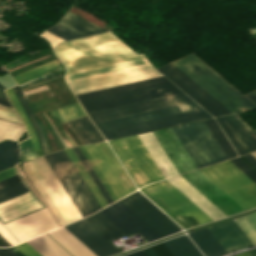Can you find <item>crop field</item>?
<instances>
[{"instance_id":"obj_69","label":"crop field","mask_w":256,"mask_h":256,"mask_svg":"<svg viewBox=\"0 0 256 256\" xmlns=\"http://www.w3.org/2000/svg\"><path fill=\"white\" fill-rule=\"evenodd\" d=\"M235 256H250V255L248 254V252H244V253L237 254Z\"/></svg>"},{"instance_id":"obj_43","label":"crop field","mask_w":256,"mask_h":256,"mask_svg":"<svg viewBox=\"0 0 256 256\" xmlns=\"http://www.w3.org/2000/svg\"><path fill=\"white\" fill-rule=\"evenodd\" d=\"M143 61L146 64H143L144 63ZM143 61L139 60V61H134V62H130V63L120 64V65H116V66L106 67V68H102V69L92 70V71H88V72L73 74V75H70V79L73 80V79H77V78H82V77H86V76H90V75L104 73V72H108V71H112V70H117V69H121V68H126V67H130V66H134V65H139V64H143V65H139V66H144V65H148L149 64L146 59H144ZM139 66H134V67H139ZM134 67H130V68H134ZM130 68H126V69H130ZM121 70H125V69H121ZM121 70H117V71H121ZM112 72H116V71H112ZM108 73H111V72H108ZM104 74H107V73H104ZM99 75H102V74H99ZM95 76H97V75H95ZM90 77H93V76H90ZM86 78H88V77H86ZM70 79H69V75L66 76L67 82H70ZM82 79H84V78H82ZM77 80H79V79H77Z\"/></svg>"},{"instance_id":"obj_66","label":"crop field","mask_w":256,"mask_h":256,"mask_svg":"<svg viewBox=\"0 0 256 256\" xmlns=\"http://www.w3.org/2000/svg\"><path fill=\"white\" fill-rule=\"evenodd\" d=\"M144 250L149 256H156V254L151 250L150 247L144 248Z\"/></svg>"},{"instance_id":"obj_68","label":"crop field","mask_w":256,"mask_h":256,"mask_svg":"<svg viewBox=\"0 0 256 256\" xmlns=\"http://www.w3.org/2000/svg\"><path fill=\"white\" fill-rule=\"evenodd\" d=\"M249 254L251 256H256V249H253V250L249 251Z\"/></svg>"},{"instance_id":"obj_70","label":"crop field","mask_w":256,"mask_h":256,"mask_svg":"<svg viewBox=\"0 0 256 256\" xmlns=\"http://www.w3.org/2000/svg\"><path fill=\"white\" fill-rule=\"evenodd\" d=\"M16 248V247H15ZM14 247H12L11 249L13 250V251H15L19 256H24V255H22L18 250H16Z\"/></svg>"},{"instance_id":"obj_63","label":"crop field","mask_w":256,"mask_h":256,"mask_svg":"<svg viewBox=\"0 0 256 256\" xmlns=\"http://www.w3.org/2000/svg\"><path fill=\"white\" fill-rule=\"evenodd\" d=\"M246 96H248L252 101H254L256 103V90L246 94ZM255 132H256V130H255Z\"/></svg>"},{"instance_id":"obj_64","label":"crop field","mask_w":256,"mask_h":256,"mask_svg":"<svg viewBox=\"0 0 256 256\" xmlns=\"http://www.w3.org/2000/svg\"><path fill=\"white\" fill-rule=\"evenodd\" d=\"M44 114V113H43ZM45 116V115H44ZM46 117V116H45ZM47 119V117H46ZM48 120V119H47ZM48 122L50 123V121L48 120ZM50 125L52 126V124L50 123ZM52 128L54 129L56 135L58 136V138L60 139V141L63 143V145L65 146V148H67V144L64 142V140L61 138V136L58 134V132L55 130V128L52 126Z\"/></svg>"},{"instance_id":"obj_25","label":"crop field","mask_w":256,"mask_h":256,"mask_svg":"<svg viewBox=\"0 0 256 256\" xmlns=\"http://www.w3.org/2000/svg\"><path fill=\"white\" fill-rule=\"evenodd\" d=\"M168 181L171 182L213 220L226 217L224 213H222L215 205H213L206 197H204L181 176L168 179Z\"/></svg>"},{"instance_id":"obj_55","label":"crop field","mask_w":256,"mask_h":256,"mask_svg":"<svg viewBox=\"0 0 256 256\" xmlns=\"http://www.w3.org/2000/svg\"><path fill=\"white\" fill-rule=\"evenodd\" d=\"M0 234L11 244H16L19 241L0 223Z\"/></svg>"},{"instance_id":"obj_56","label":"crop field","mask_w":256,"mask_h":256,"mask_svg":"<svg viewBox=\"0 0 256 256\" xmlns=\"http://www.w3.org/2000/svg\"><path fill=\"white\" fill-rule=\"evenodd\" d=\"M151 248L157 254V256H172L163 243L151 246Z\"/></svg>"},{"instance_id":"obj_50","label":"crop field","mask_w":256,"mask_h":256,"mask_svg":"<svg viewBox=\"0 0 256 256\" xmlns=\"http://www.w3.org/2000/svg\"><path fill=\"white\" fill-rule=\"evenodd\" d=\"M230 161L256 183V172L252 168H250L244 161H242L238 157L230 159Z\"/></svg>"},{"instance_id":"obj_10","label":"crop field","mask_w":256,"mask_h":256,"mask_svg":"<svg viewBox=\"0 0 256 256\" xmlns=\"http://www.w3.org/2000/svg\"><path fill=\"white\" fill-rule=\"evenodd\" d=\"M183 92L89 112L94 123L192 102Z\"/></svg>"},{"instance_id":"obj_45","label":"crop field","mask_w":256,"mask_h":256,"mask_svg":"<svg viewBox=\"0 0 256 256\" xmlns=\"http://www.w3.org/2000/svg\"><path fill=\"white\" fill-rule=\"evenodd\" d=\"M24 127L0 119V142L6 139L18 141L24 133Z\"/></svg>"},{"instance_id":"obj_73","label":"crop field","mask_w":256,"mask_h":256,"mask_svg":"<svg viewBox=\"0 0 256 256\" xmlns=\"http://www.w3.org/2000/svg\"><path fill=\"white\" fill-rule=\"evenodd\" d=\"M251 33H256V29L250 30Z\"/></svg>"},{"instance_id":"obj_13","label":"crop field","mask_w":256,"mask_h":256,"mask_svg":"<svg viewBox=\"0 0 256 256\" xmlns=\"http://www.w3.org/2000/svg\"><path fill=\"white\" fill-rule=\"evenodd\" d=\"M209 117H212V116L208 114L204 109H201L197 111H192V112L165 117L161 119H156L148 122H143L139 124H134L130 126L103 131L102 134L105 136L106 139L111 140V139L129 136L133 134L156 130L164 127H169L173 125L205 119Z\"/></svg>"},{"instance_id":"obj_1","label":"crop field","mask_w":256,"mask_h":256,"mask_svg":"<svg viewBox=\"0 0 256 256\" xmlns=\"http://www.w3.org/2000/svg\"><path fill=\"white\" fill-rule=\"evenodd\" d=\"M55 53L68 73H77L109 65L143 59L110 32L61 43Z\"/></svg>"},{"instance_id":"obj_48","label":"crop field","mask_w":256,"mask_h":256,"mask_svg":"<svg viewBox=\"0 0 256 256\" xmlns=\"http://www.w3.org/2000/svg\"><path fill=\"white\" fill-rule=\"evenodd\" d=\"M28 191L22 181L0 189V201Z\"/></svg>"},{"instance_id":"obj_17","label":"crop field","mask_w":256,"mask_h":256,"mask_svg":"<svg viewBox=\"0 0 256 256\" xmlns=\"http://www.w3.org/2000/svg\"><path fill=\"white\" fill-rule=\"evenodd\" d=\"M99 212L126 235L138 231L149 242L159 238L157 234H155L119 201Z\"/></svg>"},{"instance_id":"obj_22","label":"crop field","mask_w":256,"mask_h":256,"mask_svg":"<svg viewBox=\"0 0 256 256\" xmlns=\"http://www.w3.org/2000/svg\"><path fill=\"white\" fill-rule=\"evenodd\" d=\"M208 229L227 252L253 245L234 220L208 227Z\"/></svg>"},{"instance_id":"obj_4","label":"crop field","mask_w":256,"mask_h":256,"mask_svg":"<svg viewBox=\"0 0 256 256\" xmlns=\"http://www.w3.org/2000/svg\"><path fill=\"white\" fill-rule=\"evenodd\" d=\"M108 142L137 187L164 179L138 135Z\"/></svg>"},{"instance_id":"obj_61","label":"crop field","mask_w":256,"mask_h":256,"mask_svg":"<svg viewBox=\"0 0 256 256\" xmlns=\"http://www.w3.org/2000/svg\"><path fill=\"white\" fill-rule=\"evenodd\" d=\"M243 157L247 159L254 167H256V158L253 157L250 153L243 155Z\"/></svg>"},{"instance_id":"obj_28","label":"crop field","mask_w":256,"mask_h":256,"mask_svg":"<svg viewBox=\"0 0 256 256\" xmlns=\"http://www.w3.org/2000/svg\"><path fill=\"white\" fill-rule=\"evenodd\" d=\"M73 256H96L64 227L48 233Z\"/></svg>"},{"instance_id":"obj_12","label":"crop field","mask_w":256,"mask_h":256,"mask_svg":"<svg viewBox=\"0 0 256 256\" xmlns=\"http://www.w3.org/2000/svg\"><path fill=\"white\" fill-rule=\"evenodd\" d=\"M161 76L151 65L70 82L75 94Z\"/></svg>"},{"instance_id":"obj_71","label":"crop field","mask_w":256,"mask_h":256,"mask_svg":"<svg viewBox=\"0 0 256 256\" xmlns=\"http://www.w3.org/2000/svg\"><path fill=\"white\" fill-rule=\"evenodd\" d=\"M0 98L7 99L6 96L4 95L3 91L0 90Z\"/></svg>"},{"instance_id":"obj_2","label":"crop field","mask_w":256,"mask_h":256,"mask_svg":"<svg viewBox=\"0 0 256 256\" xmlns=\"http://www.w3.org/2000/svg\"><path fill=\"white\" fill-rule=\"evenodd\" d=\"M172 64L231 113L256 109V104L254 105L245 98L193 53L172 62Z\"/></svg>"},{"instance_id":"obj_29","label":"crop field","mask_w":256,"mask_h":256,"mask_svg":"<svg viewBox=\"0 0 256 256\" xmlns=\"http://www.w3.org/2000/svg\"><path fill=\"white\" fill-rule=\"evenodd\" d=\"M189 235L205 256H220L226 253L207 228L190 233Z\"/></svg>"},{"instance_id":"obj_62","label":"crop field","mask_w":256,"mask_h":256,"mask_svg":"<svg viewBox=\"0 0 256 256\" xmlns=\"http://www.w3.org/2000/svg\"><path fill=\"white\" fill-rule=\"evenodd\" d=\"M124 256H147L146 253L143 251V249L135 251L133 253L124 255Z\"/></svg>"},{"instance_id":"obj_40","label":"crop field","mask_w":256,"mask_h":256,"mask_svg":"<svg viewBox=\"0 0 256 256\" xmlns=\"http://www.w3.org/2000/svg\"><path fill=\"white\" fill-rule=\"evenodd\" d=\"M49 113L53 117V119L55 120V122L58 124V126L60 127V129L62 131H63V129L61 128V126L59 125V123L57 122V120L55 119L54 116H56L57 119L60 121V123H62V122H65V121H68L71 119H75V118L85 115L82 108L80 107L79 103L72 104V105L66 106L64 108H61L59 110L51 111ZM63 133L68 138V140L70 141L72 146H74L73 142L69 139V137L66 135V133L64 131H63Z\"/></svg>"},{"instance_id":"obj_19","label":"crop field","mask_w":256,"mask_h":256,"mask_svg":"<svg viewBox=\"0 0 256 256\" xmlns=\"http://www.w3.org/2000/svg\"><path fill=\"white\" fill-rule=\"evenodd\" d=\"M153 134L172 161L179 174L196 169L171 128L154 131Z\"/></svg>"},{"instance_id":"obj_60","label":"crop field","mask_w":256,"mask_h":256,"mask_svg":"<svg viewBox=\"0 0 256 256\" xmlns=\"http://www.w3.org/2000/svg\"><path fill=\"white\" fill-rule=\"evenodd\" d=\"M0 256H18L15 252H13L10 248H1Z\"/></svg>"},{"instance_id":"obj_37","label":"crop field","mask_w":256,"mask_h":256,"mask_svg":"<svg viewBox=\"0 0 256 256\" xmlns=\"http://www.w3.org/2000/svg\"><path fill=\"white\" fill-rule=\"evenodd\" d=\"M65 152L69 156L70 160L78 170L79 174L87 184L88 188L96 198L101 208L108 205L103 196L101 195V193L99 192V190L97 189V187L95 186V184L93 183V181L91 180V178L89 177V175L87 174V172L85 171V169L83 168V166L81 165V163L79 162V160L77 159V157L75 156V154L73 153V151L71 150V148L65 149Z\"/></svg>"},{"instance_id":"obj_5","label":"crop field","mask_w":256,"mask_h":256,"mask_svg":"<svg viewBox=\"0 0 256 256\" xmlns=\"http://www.w3.org/2000/svg\"><path fill=\"white\" fill-rule=\"evenodd\" d=\"M200 171L245 210L256 206V184L229 160Z\"/></svg>"},{"instance_id":"obj_65","label":"crop field","mask_w":256,"mask_h":256,"mask_svg":"<svg viewBox=\"0 0 256 256\" xmlns=\"http://www.w3.org/2000/svg\"><path fill=\"white\" fill-rule=\"evenodd\" d=\"M0 246H11V245L0 235Z\"/></svg>"},{"instance_id":"obj_27","label":"crop field","mask_w":256,"mask_h":256,"mask_svg":"<svg viewBox=\"0 0 256 256\" xmlns=\"http://www.w3.org/2000/svg\"><path fill=\"white\" fill-rule=\"evenodd\" d=\"M45 159L47 160V162L53 169L54 173L56 174V176L58 177V179L60 180V182L62 183V185L64 186V188L66 189V191L68 192L72 200L74 201L75 205L77 206V208L79 209L83 217L91 214L88 208L86 207V205L84 204L83 200L81 199V197L79 196V194L77 193L73 185L71 184L70 180L68 179V177L66 176V174L64 173L60 165L58 164L53 154L45 156Z\"/></svg>"},{"instance_id":"obj_23","label":"crop field","mask_w":256,"mask_h":256,"mask_svg":"<svg viewBox=\"0 0 256 256\" xmlns=\"http://www.w3.org/2000/svg\"><path fill=\"white\" fill-rule=\"evenodd\" d=\"M54 156L86 203L91 213L101 209L64 150L54 153Z\"/></svg>"},{"instance_id":"obj_54","label":"crop field","mask_w":256,"mask_h":256,"mask_svg":"<svg viewBox=\"0 0 256 256\" xmlns=\"http://www.w3.org/2000/svg\"><path fill=\"white\" fill-rule=\"evenodd\" d=\"M21 253L25 256H41L32 247H30L26 242L15 246Z\"/></svg>"},{"instance_id":"obj_8","label":"crop field","mask_w":256,"mask_h":256,"mask_svg":"<svg viewBox=\"0 0 256 256\" xmlns=\"http://www.w3.org/2000/svg\"><path fill=\"white\" fill-rule=\"evenodd\" d=\"M85 148L113 189L118 199L136 190L107 143L86 145Z\"/></svg>"},{"instance_id":"obj_21","label":"crop field","mask_w":256,"mask_h":256,"mask_svg":"<svg viewBox=\"0 0 256 256\" xmlns=\"http://www.w3.org/2000/svg\"><path fill=\"white\" fill-rule=\"evenodd\" d=\"M197 109H201V107L195 102H192L188 104L160 109V110L133 115L129 117H124L120 119L101 122V123H97L96 126L100 131H103L107 129L130 125L134 123H139L143 121H148L156 118H161V117L170 116V115L179 114V113L188 112V111L197 110Z\"/></svg>"},{"instance_id":"obj_7","label":"crop field","mask_w":256,"mask_h":256,"mask_svg":"<svg viewBox=\"0 0 256 256\" xmlns=\"http://www.w3.org/2000/svg\"><path fill=\"white\" fill-rule=\"evenodd\" d=\"M27 165L54 203L66 224L83 218L44 157L29 161Z\"/></svg>"},{"instance_id":"obj_18","label":"crop field","mask_w":256,"mask_h":256,"mask_svg":"<svg viewBox=\"0 0 256 256\" xmlns=\"http://www.w3.org/2000/svg\"><path fill=\"white\" fill-rule=\"evenodd\" d=\"M5 226L20 241L27 240L57 227L46 208L7 223Z\"/></svg>"},{"instance_id":"obj_33","label":"crop field","mask_w":256,"mask_h":256,"mask_svg":"<svg viewBox=\"0 0 256 256\" xmlns=\"http://www.w3.org/2000/svg\"><path fill=\"white\" fill-rule=\"evenodd\" d=\"M34 249L43 256H70L48 235H42L27 241Z\"/></svg>"},{"instance_id":"obj_51","label":"crop field","mask_w":256,"mask_h":256,"mask_svg":"<svg viewBox=\"0 0 256 256\" xmlns=\"http://www.w3.org/2000/svg\"><path fill=\"white\" fill-rule=\"evenodd\" d=\"M80 149L82 150V152L84 153V155L88 159L89 163L91 164V166L93 167V169L95 170V172L97 173V175L99 176V178L101 179L103 184L105 185L106 189L108 190V192L110 193V195L112 196L114 201L118 200L117 197L115 196V194L113 193L112 189L110 188V186L108 185V183L106 182V180L104 179L102 174L100 173L99 169L97 168V166L95 165V163L93 162L91 157L89 156V154L86 151V149L84 148V146H81Z\"/></svg>"},{"instance_id":"obj_67","label":"crop field","mask_w":256,"mask_h":256,"mask_svg":"<svg viewBox=\"0 0 256 256\" xmlns=\"http://www.w3.org/2000/svg\"><path fill=\"white\" fill-rule=\"evenodd\" d=\"M0 104L5 105V106L12 107L11 104L9 103V101L4 100V99H0Z\"/></svg>"},{"instance_id":"obj_24","label":"crop field","mask_w":256,"mask_h":256,"mask_svg":"<svg viewBox=\"0 0 256 256\" xmlns=\"http://www.w3.org/2000/svg\"><path fill=\"white\" fill-rule=\"evenodd\" d=\"M29 192L0 203V219L3 222L43 207Z\"/></svg>"},{"instance_id":"obj_47","label":"crop field","mask_w":256,"mask_h":256,"mask_svg":"<svg viewBox=\"0 0 256 256\" xmlns=\"http://www.w3.org/2000/svg\"><path fill=\"white\" fill-rule=\"evenodd\" d=\"M23 169L29 179V181L31 182V184L34 186V188L36 189V191L39 193V195L50 205L51 209L53 210V212L55 213L56 217L58 218V220L60 221L61 225H64L65 222L63 221V219L61 218V216L59 215V213L57 212V210L55 209V207L53 206V204L51 203V201L49 200V198L47 197V195L45 194L44 190L42 189V187L40 186V184L38 183V181L36 180V178L34 177V175L32 174V172L30 171V169L28 168V166L26 165V163H23ZM48 205V206H49Z\"/></svg>"},{"instance_id":"obj_35","label":"crop field","mask_w":256,"mask_h":256,"mask_svg":"<svg viewBox=\"0 0 256 256\" xmlns=\"http://www.w3.org/2000/svg\"><path fill=\"white\" fill-rule=\"evenodd\" d=\"M167 80L168 79H166L164 76H161V77H157V78H152V79H147V80H143V81L124 84V85H120V86H115V87L96 90V91H92V92L82 93V94H78L76 96H77L78 100H81V99H85V98L104 95V94H108V93H113V92L131 89V88H135V87L149 85V84H154V83L163 82V81H167Z\"/></svg>"},{"instance_id":"obj_74","label":"crop field","mask_w":256,"mask_h":256,"mask_svg":"<svg viewBox=\"0 0 256 256\" xmlns=\"http://www.w3.org/2000/svg\"><path fill=\"white\" fill-rule=\"evenodd\" d=\"M0 88H2V89H6L5 87H3L1 84H0Z\"/></svg>"},{"instance_id":"obj_58","label":"crop field","mask_w":256,"mask_h":256,"mask_svg":"<svg viewBox=\"0 0 256 256\" xmlns=\"http://www.w3.org/2000/svg\"><path fill=\"white\" fill-rule=\"evenodd\" d=\"M18 181H20V178H19L18 174H16L14 176H11L9 178L1 180L0 181V188L5 187L7 185H10L12 183L18 182Z\"/></svg>"},{"instance_id":"obj_30","label":"crop field","mask_w":256,"mask_h":256,"mask_svg":"<svg viewBox=\"0 0 256 256\" xmlns=\"http://www.w3.org/2000/svg\"><path fill=\"white\" fill-rule=\"evenodd\" d=\"M68 124L83 144L104 140L86 116L68 122Z\"/></svg>"},{"instance_id":"obj_16","label":"crop field","mask_w":256,"mask_h":256,"mask_svg":"<svg viewBox=\"0 0 256 256\" xmlns=\"http://www.w3.org/2000/svg\"><path fill=\"white\" fill-rule=\"evenodd\" d=\"M239 155L256 150V134L237 114L216 118Z\"/></svg>"},{"instance_id":"obj_38","label":"crop field","mask_w":256,"mask_h":256,"mask_svg":"<svg viewBox=\"0 0 256 256\" xmlns=\"http://www.w3.org/2000/svg\"><path fill=\"white\" fill-rule=\"evenodd\" d=\"M61 68V65L57 60L40 65L30 71L23 72L21 74L15 75L12 78H14L17 82V85L25 83L29 80L41 77L47 73H50L54 70H57Z\"/></svg>"},{"instance_id":"obj_72","label":"crop field","mask_w":256,"mask_h":256,"mask_svg":"<svg viewBox=\"0 0 256 256\" xmlns=\"http://www.w3.org/2000/svg\"><path fill=\"white\" fill-rule=\"evenodd\" d=\"M251 154L256 157V151L251 152Z\"/></svg>"},{"instance_id":"obj_31","label":"crop field","mask_w":256,"mask_h":256,"mask_svg":"<svg viewBox=\"0 0 256 256\" xmlns=\"http://www.w3.org/2000/svg\"><path fill=\"white\" fill-rule=\"evenodd\" d=\"M59 24L65 26L83 36L106 31L105 29H103V28L69 12V11L65 15V17L60 21Z\"/></svg>"},{"instance_id":"obj_53","label":"crop field","mask_w":256,"mask_h":256,"mask_svg":"<svg viewBox=\"0 0 256 256\" xmlns=\"http://www.w3.org/2000/svg\"><path fill=\"white\" fill-rule=\"evenodd\" d=\"M0 118L20 123L14 109L0 105Z\"/></svg>"},{"instance_id":"obj_52","label":"crop field","mask_w":256,"mask_h":256,"mask_svg":"<svg viewBox=\"0 0 256 256\" xmlns=\"http://www.w3.org/2000/svg\"><path fill=\"white\" fill-rule=\"evenodd\" d=\"M19 146L22 151L23 161L31 160L37 157L29 139L19 143Z\"/></svg>"},{"instance_id":"obj_57","label":"crop field","mask_w":256,"mask_h":256,"mask_svg":"<svg viewBox=\"0 0 256 256\" xmlns=\"http://www.w3.org/2000/svg\"><path fill=\"white\" fill-rule=\"evenodd\" d=\"M42 36H44L49 41V43L52 45V47H54L60 41H63L62 39L46 32V31L42 34Z\"/></svg>"},{"instance_id":"obj_15","label":"crop field","mask_w":256,"mask_h":256,"mask_svg":"<svg viewBox=\"0 0 256 256\" xmlns=\"http://www.w3.org/2000/svg\"><path fill=\"white\" fill-rule=\"evenodd\" d=\"M194 187H196L203 195L213 202L227 216L244 211L235 201L217 187L199 170L181 174Z\"/></svg>"},{"instance_id":"obj_44","label":"crop field","mask_w":256,"mask_h":256,"mask_svg":"<svg viewBox=\"0 0 256 256\" xmlns=\"http://www.w3.org/2000/svg\"><path fill=\"white\" fill-rule=\"evenodd\" d=\"M72 150L74 151V153L76 154V156L78 157V159L80 160V162L82 163V165L84 166V168L86 169V171L88 172V174L90 175V177L92 178V180L94 181V183L96 184V186L98 187V189L100 190L104 198L106 199L108 204L114 202L111 196L109 195V193L107 192V190L105 189L104 185L102 184V182L100 181V179L98 178V176L96 175V173L94 172L90 164L88 163L87 159L79 149V147H74L72 148Z\"/></svg>"},{"instance_id":"obj_11","label":"crop field","mask_w":256,"mask_h":256,"mask_svg":"<svg viewBox=\"0 0 256 256\" xmlns=\"http://www.w3.org/2000/svg\"><path fill=\"white\" fill-rule=\"evenodd\" d=\"M160 237L180 231L181 228L149 202L139 191L119 200Z\"/></svg>"},{"instance_id":"obj_3","label":"crop field","mask_w":256,"mask_h":256,"mask_svg":"<svg viewBox=\"0 0 256 256\" xmlns=\"http://www.w3.org/2000/svg\"><path fill=\"white\" fill-rule=\"evenodd\" d=\"M140 190L185 229L212 221L167 180L147 185Z\"/></svg>"},{"instance_id":"obj_34","label":"crop field","mask_w":256,"mask_h":256,"mask_svg":"<svg viewBox=\"0 0 256 256\" xmlns=\"http://www.w3.org/2000/svg\"><path fill=\"white\" fill-rule=\"evenodd\" d=\"M173 256H202L187 236H180L164 242Z\"/></svg>"},{"instance_id":"obj_32","label":"crop field","mask_w":256,"mask_h":256,"mask_svg":"<svg viewBox=\"0 0 256 256\" xmlns=\"http://www.w3.org/2000/svg\"><path fill=\"white\" fill-rule=\"evenodd\" d=\"M101 214L98 212L88 218H84V220L87 221L92 227H94L109 241L125 236L124 233H122L117 227H115Z\"/></svg>"},{"instance_id":"obj_39","label":"crop field","mask_w":256,"mask_h":256,"mask_svg":"<svg viewBox=\"0 0 256 256\" xmlns=\"http://www.w3.org/2000/svg\"><path fill=\"white\" fill-rule=\"evenodd\" d=\"M204 123L206 124V126L216 139L217 143L219 144L227 158L236 156V152L234 151L233 147L227 140L226 136L224 135L220 127L218 126L215 119L205 120Z\"/></svg>"},{"instance_id":"obj_9","label":"crop field","mask_w":256,"mask_h":256,"mask_svg":"<svg viewBox=\"0 0 256 256\" xmlns=\"http://www.w3.org/2000/svg\"><path fill=\"white\" fill-rule=\"evenodd\" d=\"M170 81L81 100L86 112L180 92Z\"/></svg>"},{"instance_id":"obj_49","label":"crop field","mask_w":256,"mask_h":256,"mask_svg":"<svg viewBox=\"0 0 256 256\" xmlns=\"http://www.w3.org/2000/svg\"><path fill=\"white\" fill-rule=\"evenodd\" d=\"M65 40H68V39H72V38H77V37H81V35L57 24L56 26H54L53 28L47 30Z\"/></svg>"},{"instance_id":"obj_20","label":"crop field","mask_w":256,"mask_h":256,"mask_svg":"<svg viewBox=\"0 0 256 256\" xmlns=\"http://www.w3.org/2000/svg\"><path fill=\"white\" fill-rule=\"evenodd\" d=\"M98 256H108L119 252L83 219L64 226Z\"/></svg>"},{"instance_id":"obj_46","label":"crop field","mask_w":256,"mask_h":256,"mask_svg":"<svg viewBox=\"0 0 256 256\" xmlns=\"http://www.w3.org/2000/svg\"><path fill=\"white\" fill-rule=\"evenodd\" d=\"M235 221L253 244L256 245V213L240 217Z\"/></svg>"},{"instance_id":"obj_36","label":"crop field","mask_w":256,"mask_h":256,"mask_svg":"<svg viewBox=\"0 0 256 256\" xmlns=\"http://www.w3.org/2000/svg\"><path fill=\"white\" fill-rule=\"evenodd\" d=\"M5 92H6L7 96L9 97L10 101L12 102L17 113L19 114L20 118L22 119V121L27 129V132L29 134V137L31 139V142L34 146L37 156L39 157V156L43 155V152H42L41 146L39 144V141L37 139L36 133L31 125L29 119L27 118L24 110L22 109L18 99L16 98L12 88L7 89Z\"/></svg>"},{"instance_id":"obj_6","label":"crop field","mask_w":256,"mask_h":256,"mask_svg":"<svg viewBox=\"0 0 256 256\" xmlns=\"http://www.w3.org/2000/svg\"><path fill=\"white\" fill-rule=\"evenodd\" d=\"M197 168L226 159L203 121L173 127Z\"/></svg>"},{"instance_id":"obj_26","label":"crop field","mask_w":256,"mask_h":256,"mask_svg":"<svg viewBox=\"0 0 256 256\" xmlns=\"http://www.w3.org/2000/svg\"><path fill=\"white\" fill-rule=\"evenodd\" d=\"M139 137L145 144L146 148L148 149L166 178L178 175L174 166L166 156L165 152L157 142L152 132L140 134Z\"/></svg>"},{"instance_id":"obj_41","label":"crop field","mask_w":256,"mask_h":256,"mask_svg":"<svg viewBox=\"0 0 256 256\" xmlns=\"http://www.w3.org/2000/svg\"><path fill=\"white\" fill-rule=\"evenodd\" d=\"M19 149L16 143L6 141L0 144V170L15 165L18 161Z\"/></svg>"},{"instance_id":"obj_14","label":"crop field","mask_w":256,"mask_h":256,"mask_svg":"<svg viewBox=\"0 0 256 256\" xmlns=\"http://www.w3.org/2000/svg\"><path fill=\"white\" fill-rule=\"evenodd\" d=\"M157 69L161 71L165 76H167L171 81H173L178 87H180L184 92H186L190 97H192L197 103H199L213 116L230 113L171 63Z\"/></svg>"},{"instance_id":"obj_42","label":"crop field","mask_w":256,"mask_h":256,"mask_svg":"<svg viewBox=\"0 0 256 256\" xmlns=\"http://www.w3.org/2000/svg\"><path fill=\"white\" fill-rule=\"evenodd\" d=\"M13 90H14L17 98L19 99L22 107L24 108L28 118L30 119V121H31V123H32V125H33V127H34V129L36 131V133H37V136L39 138V141L41 143V146L43 148V151H44L45 155L50 153V150L48 149L47 142H46V139H45V137L43 135V132H42V130H41V128H40V126H39L35 116L33 115L30 107L28 106L27 102L25 101L22 92L20 91L18 86L13 87Z\"/></svg>"},{"instance_id":"obj_59","label":"crop field","mask_w":256,"mask_h":256,"mask_svg":"<svg viewBox=\"0 0 256 256\" xmlns=\"http://www.w3.org/2000/svg\"><path fill=\"white\" fill-rule=\"evenodd\" d=\"M14 174H16V171H15V168H14V167H12V168H10V169H7V170H5V171H2V172H0V180H1V179H4V178H6V177H9V176H11V175H14Z\"/></svg>"}]
</instances>
